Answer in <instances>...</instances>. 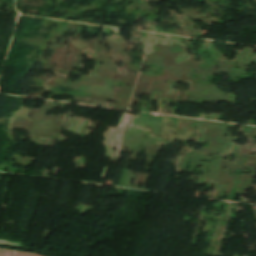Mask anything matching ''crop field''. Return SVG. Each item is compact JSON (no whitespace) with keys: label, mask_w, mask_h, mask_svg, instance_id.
I'll return each instance as SVG.
<instances>
[{"label":"crop field","mask_w":256,"mask_h":256,"mask_svg":"<svg viewBox=\"0 0 256 256\" xmlns=\"http://www.w3.org/2000/svg\"><path fill=\"white\" fill-rule=\"evenodd\" d=\"M15 256H40V255L16 252Z\"/></svg>","instance_id":"1"},{"label":"crop field","mask_w":256,"mask_h":256,"mask_svg":"<svg viewBox=\"0 0 256 256\" xmlns=\"http://www.w3.org/2000/svg\"><path fill=\"white\" fill-rule=\"evenodd\" d=\"M13 252L0 250V256H12Z\"/></svg>","instance_id":"2"}]
</instances>
